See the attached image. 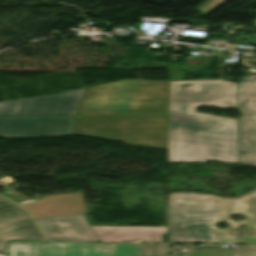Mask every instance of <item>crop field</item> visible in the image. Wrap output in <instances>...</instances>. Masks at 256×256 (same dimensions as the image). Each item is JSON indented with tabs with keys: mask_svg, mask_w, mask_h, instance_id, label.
I'll list each match as a JSON object with an SVG mask.
<instances>
[{
	"mask_svg": "<svg viewBox=\"0 0 256 256\" xmlns=\"http://www.w3.org/2000/svg\"><path fill=\"white\" fill-rule=\"evenodd\" d=\"M198 106L237 108V84L170 81L168 162H238L237 120L195 112Z\"/></svg>",
	"mask_w": 256,
	"mask_h": 256,
	"instance_id": "1",
	"label": "crop field"
},
{
	"mask_svg": "<svg viewBox=\"0 0 256 256\" xmlns=\"http://www.w3.org/2000/svg\"><path fill=\"white\" fill-rule=\"evenodd\" d=\"M243 214L232 221L229 214ZM227 222L228 229H218ZM168 242L256 243V189L238 197L223 198L202 193H169Z\"/></svg>",
	"mask_w": 256,
	"mask_h": 256,
	"instance_id": "2",
	"label": "crop field"
},
{
	"mask_svg": "<svg viewBox=\"0 0 256 256\" xmlns=\"http://www.w3.org/2000/svg\"><path fill=\"white\" fill-rule=\"evenodd\" d=\"M169 81L121 80L85 89L74 116L168 114Z\"/></svg>",
	"mask_w": 256,
	"mask_h": 256,
	"instance_id": "3",
	"label": "crop field"
},
{
	"mask_svg": "<svg viewBox=\"0 0 256 256\" xmlns=\"http://www.w3.org/2000/svg\"><path fill=\"white\" fill-rule=\"evenodd\" d=\"M168 115L74 117L73 134L167 149Z\"/></svg>",
	"mask_w": 256,
	"mask_h": 256,
	"instance_id": "4",
	"label": "crop field"
},
{
	"mask_svg": "<svg viewBox=\"0 0 256 256\" xmlns=\"http://www.w3.org/2000/svg\"><path fill=\"white\" fill-rule=\"evenodd\" d=\"M145 244L9 241V256H141Z\"/></svg>",
	"mask_w": 256,
	"mask_h": 256,
	"instance_id": "5",
	"label": "crop field"
},
{
	"mask_svg": "<svg viewBox=\"0 0 256 256\" xmlns=\"http://www.w3.org/2000/svg\"><path fill=\"white\" fill-rule=\"evenodd\" d=\"M84 89L57 95L0 102V118L73 116Z\"/></svg>",
	"mask_w": 256,
	"mask_h": 256,
	"instance_id": "6",
	"label": "crop field"
},
{
	"mask_svg": "<svg viewBox=\"0 0 256 256\" xmlns=\"http://www.w3.org/2000/svg\"><path fill=\"white\" fill-rule=\"evenodd\" d=\"M238 109L242 118L238 120L239 163L256 166V80L244 76L238 84Z\"/></svg>",
	"mask_w": 256,
	"mask_h": 256,
	"instance_id": "7",
	"label": "crop field"
},
{
	"mask_svg": "<svg viewBox=\"0 0 256 256\" xmlns=\"http://www.w3.org/2000/svg\"><path fill=\"white\" fill-rule=\"evenodd\" d=\"M73 118L0 120V138H38L72 134Z\"/></svg>",
	"mask_w": 256,
	"mask_h": 256,
	"instance_id": "8",
	"label": "crop field"
},
{
	"mask_svg": "<svg viewBox=\"0 0 256 256\" xmlns=\"http://www.w3.org/2000/svg\"><path fill=\"white\" fill-rule=\"evenodd\" d=\"M9 240H46L18 205L0 197V252L7 253Z\"/></svg>",
	"mask_w": 256,
	"mask_h": 256,
	"instance_id": "9",
	"label": "crop field"
},
{
	"mask_svg": "<svg viewBox=\"0 0 256 256\" xmlns=\"http://www.w3.org/2000/svg\"><path fill=\"white\" fill-rule=\"evenodd\" d=\"M36 222L51 241H100L83 215L39 219Z\"/></svg>",
	"mask_w": 256,
	"mask_h": 256,
	"instance_id": "10",
	"label": "crop field"
},
{
	"mask_svg": "<svg viewBox=\"0 0 256 256\" xmlns=\"http://www.w3.org/2000/svg\"><path fill=\"white\" fill-rule=\"evenodd\" d=\"M170 245L146 244L142 256H172L167 255ZM189 253L181 256H256V244L240 246L235 249L222 246H195L189 245Z\"/></svg>",
	"mask_w": 256,
	"mask_h": 256,
	"instance_id": "11",
	"label": "crop field"
},
{
	"mask_svg": "<svg viewBox=\"0 0 256 256\" xmlns=\"http://www.w3.org/2000/svg\"><path fill=\"white\" fill-rule=\"evenodd\" d=\"M224 1L225 0H208L207 2H205L204 4L199 6L198 9L200 10V12L203 15H205L208 12H210L212 9H214L215 7H217L218 5L223 3ZM254 22H255V25H256V20Z\"/></svg>",
	"mask_w": 256,
	"mask_h": 256,
	"instance_id": "12",
	"label": "crop field"
},
{
	"mask_svg": "<svg viewBox=\"0 0 256 256\" xmlns=\"http://www.w3.org/2000/svg\"><path fill=\"white\" fill-rule=\"evenodd\" d=\"M242 59L254 63V64L252 65V68H256V59L250 58V57H248V56H243Z\"/></svg>",
	"mask_w": 256,
	"mask_h": 256,
	"instance_id": "13",
	"label": "crop field"
},
{
	"mask_svg": "<svg viewBox=\"0 0 256 256\" xmlns=\"http://www.w3.org/2000/svg\"><path fill=\"white\" fill-rule=\"evenodd\" d=\"M245 42L256 44V37H248V39Z\"/></svg>",
	"mask_w": 256,
	"mask_h": 256,
	"instance_id": "14",
	"label": "crop field"
},
{
	"mask_svg": "<svg viewBox=\"0 0 256 256\" xmlns=\"http://www.w3.org/2000/svg\"><path fill=\"white\" fill-rule=\"evenodd\" d=\"M240 64L246 65V66H249V67L252 65V63H249V62H246V61H243V60H241Z\"/></svg>",
	"mask_w": 256,
	"mask_h": 256,
	"instance_id": "15",
	"label": "crop field"
},
{
	"mask_svg": "<svg viewBox=\"0 0 256 256\" xmlns=\"http://www.w3.org/2000/svg\"><path fill=\"white\" fill-rule=\"evenodd\" d=\"M0 256H6V255H2V254H0Z\"/></svg>",
	"mask_w": 256,
	"mask_h": 256,
	"instance_id": "16",
	"label": "crop field"
}]
</instances>
